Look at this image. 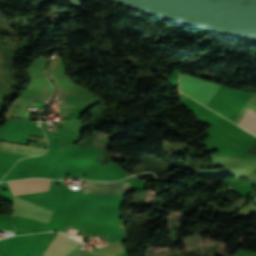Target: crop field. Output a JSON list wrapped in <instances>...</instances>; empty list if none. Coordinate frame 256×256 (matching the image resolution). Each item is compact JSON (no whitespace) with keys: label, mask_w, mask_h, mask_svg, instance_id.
<instances>
[{"label":"crop field","mask_w":256,"mask_h":256,"mask_svg":"<svg viewBox=\"0 0 256 256\" xmlns=\"http://www.w3.org/2000/svg\"><path fill=\"white\" fill-rule=\"evenodd\" d=\"M13 210L14 215L16 216L47 223L50 222V218L53 213L50 210L42 208L26 200L18 199L16 197H14L13 201Z\"/></svg>","instance_id":"8a807250"},{"label":"crop field","mask_w":256,"mask_h":256,"mask_svg":"<svg viewBox=\"0 0 256 256\" xmlns=\"http://www.w3.org/2000/svg\"><path fill=\"white\" fill-rule=\"evenodd\" d=\"M14 195L48 191L49 180L25 179L8 182Z\"/></svg>","instance_id":"ac0d7876"},{"label":"crop field","mask_w":256,"mask_h":256,"mask_svg":"<svg viewBox=\"0 0 256 256\" xmlns=\"http://www.w3.org/2000/svg\"><path fill=\"white\" fill-rule=\"evenodd\" d=\"M129 183H108L89 181L84 192L125 195Z\"/></svg>","instance_id":"34b2d1b8"},{"label":"crop field","mask_w":256,"mask_h":256,"mask_svg":"<svg viewBox=\"0 0 256 256\" xmlns=\"http://www.w3.org/2000/svg\"><path fill=\"white\" fill-rule=\"evenodd\" d=\"M79 243L69 237L58 233L47 250L44 252L46 256H65Z\"/></svg>","instance_id":"412701ff"},{"label":"crop field","mask_w":256,"mask_h":256,"mask_svg":"<svg viewBox=\"0 0 256 256\" xmlns=\"http://www.w3.org/2000/svg\"><path fill=\"white\" fill-rule=\"evenodd\" d=\"M46 149L23 146L17 144L1 143L0 142V152L14 153L20 155L34 156L45 152Z\"/></svg>","instance_id":"f4fd0767"},{"label":"crop field","mask_w":256,"mask_h":256,"mask_svg":"<svg viewBox=\"0 0 256 256\" xmlns=\"http://www.w3.org/2000/svg\"><path fill=\"white\" fill-rule=\"evenodd\" d=\"M238 125L256 134V113L248 109Z\"/></svg>","instance_id":"dd49c442"}]
</instances>
